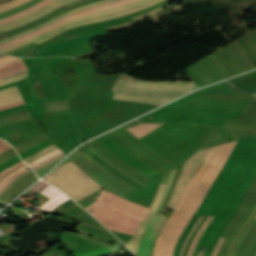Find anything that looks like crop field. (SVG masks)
Instances as JSON below:
<instances>
[{"mask_svg": "<svg viewBox=\"0 0 256 256\" xmlns=\"http://www.w3.org/2000/svg\"><path fill=\"white\" fill-rule=\"evenodd\" d=\"M39 1H41V0H31V1L21 5L19 7L10 9V10L5 11V12H2V13H0V18L9 16V15H13V14H15V13L21 11V10H24L26 8H29V7L33 6L34 4L38 3Z\"/></svg>", "mask_w": 256, "mask_h": 256, "instance_id": "crop-field-20", "label": "crop field"}, {"mask_svg": "<svg viewBox=\"0 0 256 256\" xmlns=\"http://www.w3.org/2000/svg\"><path fill=\"white\" fill-rule=\"evenodd\" d=\"M98 1H101V0H77V1H74L72 3H69L63 7H60L52 12H50L49 14L35 20V21H32L30 23H27L25 25H22L20 27H17L13 30H10L8 32H5L3 34L0 35V40L2 39H5V38H8V37H11L13 35H16V34H19V33H22V32H25L35 26H38L66 11H69V10H72V9H76V8H79V7H82V6H85V5H88V4H92V3H95V2H98Z\"/></svg>", "mask_w": 256, "mask_h": 256, "instance_id": "crop-field-9", "label": "crop field"}, {"mask_svg": "<svg viewBox=\"0 0 256 256\" xmlns=\"http://www.w3.org/2000/svg\"><path fill=\"white\" fill-rule=\"evenodd\" d=\"M63 156H65V155L62 153V154H60V155H58V156L54 157L53 159H51V160H49V161H47V162L43 163L42 165H40V166H38V167L34 168V171H36V170H39V169L43 168L45 165H47V164H49V163H51V162H53V161H55V160H57V159H59V158L63 157Z\"/></svg>", "mask_w": 256, "mask_h": 256, "instance_id": "crop-field-30", "label": "crop field"}, {"mask_svg": "<svg viewBox=\"0 0 256 256\" xmlns=\"http://www.w3.org/2000/svg\"><path fill=\"white\" fill-rule=\"evenodd\" d=\"M192 85L191 83L181 82H136L120 74L112 88L115 91L113 99L161 105L181 96L180 94L187 92Z\"/></svg>", "mask_w": 256, "mask_h": 256, "instance_id": "crop-field-3", "label": "crop field"}, {"mask_svg": "<svg viewBox=\"0 0 256 256\" xmlns=\"http://www.w3.org/2000/svg\"><path fill=\"white\" fill-rule=\"evenodd\" d=\"M31 173H33L32 170H30V171H28L27 173H25V174H23V175L17 177V178L14 179L11 183H9V184L7 185V187L3 190V192L1 191L2 193L0 194V199L2 198V196H3L18 180H20L21 178H23V177H25V176H27V175H29V174H31Z\"/></svg>", "mask_w": 256, "mask_h": 256, "instance_id": "crop-field-26", "label": "crop field"}, {"mask_svg": "<svg viewBox=\"0 0 256 256\" xmlns=\"http://www.w3.org/2000/svg\"><path fill=\"white\" fill-rule=\"evenodd\" d=\"M165 186L166 185H160L158 188V191L154 197V200L150 206L149 211L147 212L145 218L143 219V221L140 223V225L138 226V229L134 235V237L125 245L135 254L137 253V249H138V245L142 236V233L144 231V228L146 226L147 221L149 220V218L151 217V215L153 214V212L155 211L156 207L158 206L164 192H165Z\"/></svg>", "mask_w": 256, "mask_h": 256, "instance_id": "crop-field-10", "label": "crop field"}, {"mask_svg": "<svg viewBox=\"0 0 256 256\" xmlns=\"http://www.w3.org/2000/svg\"><path fill=\"white\" fill-rule=\"evenodd\" d=\"M48 183L45 182H41L39 181L38 183H36L32 188H30V190L32 191H40L41 189L45 188L46 186H48Z\"/></svg>", "mask_w": 256, "mask_h": 256, "instance_id": "crop-field-29", "label": "crop field"}, {"mask_svg": "<svg viewBox=\"0 0 256 256\" xmlns=\"http://www.w3.org/2000/svg\"><path fill=\"white\" fill-rule=\"evenodd\" d=\"M23 172H25V170L22 171V172H20V173H18V174L15 175L14 177L10 178L7 182H5V183L0 187V193H1V191L6 187V185H7L9 182H11L15 177H17L18 175L22 174Z\"/></svg>", "mask_w": 256, "mask_h": 256, "instance_id": "crop-field-35", "label": "crop field"}, {"mask_svg": "<svg viewBox=\"0 0 256 256\" xmlns=\"http://www.w3.org/2000/svg\"><path fill=\"white\" fill-rule=\"evenodd\" d=\"M58 151H60V150H59V149H57V150H55V151H53V152H51V153H48V154L44 155L43 157L39 158L38 160H36V161H34V162H32V163L28 164V165H30V166H31V165H33V164H35V163H37V162H39V161L43 160L44 158H46V157H48V156H50V155H52V154H54V153L58 152Z\"/></svg>", "mask_w": 256, "mask_h": 256, "instance_id": "crop-field-33", "label": "crop field"}, {"mask_svg": "<svg viewBox=\"0 0 256 256\" xmlns=\"http://www.w3.org/2000/svg\"><path fill=\"white\" fill-rule=\"evenodd\" d=\"M24 165H26V164L23 163L22 161H20V162H18L16 164L6 168L5 170L0 172V179L3 178L4 176H6L7 174L13 172L15 169H18V168H20V167H22Z\"/></svg>", "mask_w": 256, "mask_h": 256, "instance_id": "crop-field-24", "label": "crop field"}, {"mask_svg": "<svg viewBox=\"0 0 256 256\" xmlns=\"http://www.w3.org/2000/svg\"><path fill=\"white\" fill-rule=\"evenodd\" d=\"M11 0H0V4H3V3H6V2H9Z\"/></svg>", "mask_w": 256, "mask_h": 256, "instance_id": "crop-field-40", "label": "crop field"}, {"mask_svg": "<svg viewBox=\"0 0 256 256\" xmlns=\"http://www.w3.org/2000/svg\"><path fill=\"white\" fill-rule=\"evenodd\" d=\"M43 179L59 187L76 202L102 188L71 161L55 169Z\"/></svg>", "mask_w": 256, "mask_h": 256, "instance_id": "crop-field-5", "label": "crop field"}, {"mask_svg": "<svg viewBox=\"0 0 256 256\" xmlns=\"http://www.w3.org/2000/svg\"><path fill=\"white\" fill-rule=\"evenodd\" d=\"M150 1H152V0H138V1H135V2H132V3H129V4L121 5V6L111 8V9H108V10H105V11H101V12L86 15V16H83V17H80V18H77V19L66 21V22L58 25L57 27H55V28H53V29H51L47 32H44V33H42V34H40L36 37L30 38V39H28L24 42L19 43V44H16V45L10 46L8 48L2 49V50H0V53L8 52V51H11L15 48L27 45V44L33 42L34 40H38V39H40L44 36H47V35L55 32V31H57L58 29H60L64 26L70 25L72 23L81 22V21H85V20H88V19H92V18L104 16V15L114 14V13H117L119 11H123V10L129 9V8L140 6V5L145 4L147 2H150Z\"/></svg>", "mask_w": 256, "mask_h": 256, "instance_id": "crop-field-8", "label": "crop field"}, {"mask_svg": "<svg viewBox=\"0 0 256 256\" xmlns=\"http://www.w3.org/2000/svg\"><path fill=\"white\" fill-rule=\"evenodd\" d=\"M26 1H28V0H14L12 2L0 5V12L10 9V8H13V7H16V6H19L23 3H25Z\"/></svg>", "mask_w": 256, "mask_h": 256, "instance_id": "crop-field-25", "label": "crop field"}, {"mask_svg": "<svg viewBox=\"0 0 256 256\" xmlns=\"http://www.w3.org/2000/svg\"><path fill=\"white\" fill-rule=\"evenodd\" d=\"M155 107L157 106L126 101L78 125L85 140H88Z\"/></svg>", "mask_w": 256, "mask_h": 256, "instance_id": "crop-field-4", "label": "crop field"}, {"mask_svg": "<svg viewBox=\"0 0 256 256\" xmlns=\"http://www.w3.org/2000/svg\"><path fill=\"white\" fill-rule=\"evenodd\" d=\"M7 58H11V56L4 57V58L0 59V61L4 60V59H7Z\"/></svg>", "mask_w": 256, "mask_h": 256, "instance_id": "crop-field-41", "label": "crop field"}, {"mask_svg": "<svg viewBox=\"0 0 256 256\" xmlns=\"http://www.w3.org/2000/svg\"><path fill=\"white\" fill-rule=\"evenodd\" d=\"M161 124H139L135 127L127 128L131 133H133L138 138L144 136L145 134L155 130Z\"/></svg>", "mask_w": 256, "mask_h": 256, "instance_id": "crop-field-15", "label": "crop field"}, {"mask_svg": "<svg viewBox=\"0 0 256 256\" xmlns=\"http://www.w3.org/2000/svg\"><path fill=\"white\" fill-rule=\"evenodd\" d=\"M132 1H135V0H131V1H127V2H123V3H120V4H117V5H114V6H118V5H121V4H125V3H128V2H132ZM114 6H111V7H114ZM111 7H108V8H111ZM108 8H104V9H108ZM104 9H100V10H97V11H94V12H98V11H101V10H104ZM94 12H90V13H94ZM90 13H87V14H90ZM83 15H86V14H83ZM80 16H82V15H79V16H76V17H80ZM76 17H72V18H76ZM72 18H69V19H72ZM69 19H67V20H69ZM65 21V20H64ZM63 22V21H62ZM61 23V22H60ZM59 24V23H58ZM58 24H56V25H58ZM56 25H54V26H56ZM53 26V27H54ZM52 28V27H51ZM50 29V28H49ZM48 30V29H47ZM46 31V30H45ZM44 32V31H43ZM40 33H42V32H40ZM40 33H37V34H35V35H38V34H40ZM35 35H32V36H30V37H33V36H35ZM30 37H28V38H30ZM28 38H25V39H23V40H20V41H18V42H21V41H24V40H26V39H28ZM18 42H16V43H18ZM16 43H14V44H16ZM13 45V44H12ZM10 46V45H9ZM7 47V46H6ZM2 48H5V47H2ZM2 48H0V49H2Z\"/></svg>", "mask_w": 256, "mask_h": 256, "instance_id": "crop-field-27", "label": "crop field"}, {"mask_svg": "<svg viewBox=\"0 0 256 256\" xmlns=\"http://www.w3.org/2000/svg\"><path fill=\"white\" fill-rule=\"evenodd\" d=\"M123 1H126V0L114 1V2H111V3H107V4H104V5H101V6H97V7H94V8H90V9H87V10H84V11H81V12H78V13H76V14L68 15V16H66V17H64V18H62V19H60V20H58V21H56V22H54V23H52V24L46 26V27H43V28H41V29H39V30L33 32V33L27 34V35H25V36H23V37L16 38V39L11 40V41H9V42L3 44V45H0V47L6 46V45H8V44H10V43H12V42H15V41H17V40L23 39V38L28 37V36H30V35H32V34H35V33L39 32V31H41V30H43V29H45V28H47V27H49V26H51V25H53V24L59 22V21H62V20H64V19H67V18H69V17L76 16V15L83 14V13H87V12H90V11H93V10H97V9H100V8H104V7H107V6H109V5H112V4H115V3H119V2H123Z\"/></svg>", "mask_w": 256, "mask_h": 256, "instance_id": "crop-field-13", "label": "crop field"}, {"mask_svg": "<svg viewBox=\"0 0 256 256\" xmlns=\"http://www.w3.org/2000/svg\"><path fill=\"white\" fill-rule=\"evenodd\" d=\"M224 239L225 238L219 237V239H218V241H217V243H216V245H215V247H214L210 256H217V254H218V252H219V250L222 246V243H223Z\"/></svg>", "mask_w": 256, "mask_h": 256, "instance_id": "crop-field-28", "label": "crop field"}, {"mask_svg": "<svg viewBox=\"0 0 256 256\" xmlns=\"http://www.w3.org/2000/svg\"><path fill=\"white\" fill-rule=\"evenodd\" d=\"M52 1L53 0H43V1L39 2L38 4H36L35 6L29 8L27 10H24V11H22V12L16 14V15L3 18V19L0 20V25L8 23V22L16 20V19H19V18H22V17L30 14L31 12L36 11V10L42 8L43 6L47 5L48 3L52 2Z\"/></svg>", "mask_w": 256, "mask_h": 256, "instance_id": "crop-field-14", "label": "crop field"}, {"mask_svg": "<svg viewBox=\"0 0 256 256\" xmlns=\"http://www.w3.org/2000/svg\"><path fill=\"white\" fill-rule=\"evenodd\" d=\"M27 75V70L24 72H21L19 74L16 75H12V76H8L6 78H3L0 80V85H4L13 81H17V80H21V79H25Z\"/></svg>", "mask_w": 256, "mask_h": 256, "instance_id": "crop-field-22", "label": "crop field"}, {"mask_svg": "<svg viewBox=\"0 0 256 256\" xmlns=\"http://www.w3.org/2000/svg\"><path fill=\"white\" fill-rule=\"evenodd\" d=\"M211 148L197 151L193 156H191L187 160L186 164L183 167L181 175L177 181V184L172 193V196L167 204V207L165 209H163L161 215H163V213L166 211L167 208L175 209L188 182L193 177V175L199 170L201 165L204 163Z\"/></svg>", "mask_w": 256, "mask_h": 256, "instance_id": "crop-field-6", "label": "crop field"}, {"mask_svg": "<svg viewBox=\"0 0 256 256\" xmlns=\"http://www.w3.org/2000/svg\"><path fill=\"white\" fill-rule=\"evenodd\" d=\"M202 254H203V252H202V251H200L198 256H202Z\"/></svg>", "mask_w": 256, "mask_h": 256, "instance_id": "crop-field-42", "label": "crop field"}, {"mask_svg": "<svg viewBox=\"0 0 256 256\" xmlns=\"http://www.w3.org/2000/svg\"><path fill=\"white\" fill-rule=\"evenodd\" d=\"M9 148H11V146L8 143H6L5 141L0 143V153Z\"/></svg>", "mask_w": 256, "mask_h": 256, "instance_id": "crop-field-34", "label": "crop field"}, {"mask_svg": "<svg viewBox=\"0 0 256 256\" xmlns=\"http://www.w3.org/2000/svg\"><path fill=\"white\" fill-rule=\"evenodd\" d=\"M20 104H24V101L18 102V103H15V104H11V105H7L5 107H0V110L7 109V108H10V107H14V106H17V105H20Z\"/></svg>", "mask_w": 256, "mask_h": 256, "instance_id": "crop-field-36", "label": "crop field"}, {"mask_svg": "<svg viewBox=\"0 0 256 256\" xmlns=\"http://www.w3.org/2000/svg\"><path fill=\"white\" fill-rule=\"evenodd\" d=\"M110 1H114V0H104V1H101V2H98V3H95V4H92V5H89V6H85V7H82V8L76 9V10H73V11H69V12H67V13H65V14H63V15H61V16H59V17H57V18H55V19H53V20H51V21H49V22H47V23H45V24H43V25H41V26H38V27H36V28H34V29L28 31V32H25V33L16 35V36H14V37H11V38L2 40V41H0V44H1V43H4V42H6V41H9V40H11V39H13V38H16V37L22 36V35H24V34H27V33L31 32V31L35 30V29L41 28V27H43V26H45V25H47V24H49V23H51V22H53V21H55V20H57V19H59V18H61V17H63V16H65V15H68V14H71V13H73V12H76V11H79V10H82V9H85V8H87V7H90V6H94V5H97V4H101V3H105V2H110Z\"/></svg>", "mask_w": 256, "mask_h": 256, "instance_id": "crop-field-19", "label": "crop field"}, {"mask_svg": "<svg viewBox=\"0 0 256 256\" xmlns=\"http://www.w3.org/2000/svg\"><path fill=\"white\" fill-rule=\"evenodd\" d=\"M22 100L23 99L16 86L0 91V106H5Z\"/></svg>", "mask_w": 256, "mask_h": 256, "instance_id": "crop-field-11", "label": "crop field"}, {"mask_svg": "<svg viewBox=\"0 0 256 256\" xmlns=\"http://www.w3.org/2000/svg\"><path fill=\"white\" fill-rule=\"evenodd\" d=\"M85 209L109 229L133 235L148 207L103 189L96 202Z\"/></svg>", "mask_w": 256, "mask_h": 256, "instance_id": "crop-field-2", "label": "crop field"}, {"mask_svg": "<svg viewBox=\"0 0 256 256\" xmlns=\"http://www.w3.org/2000/svg\"><path fill=\"white\" fill-rule=\"evenodd\" d=\"M59 153H61V151H60V152H58V153H56V154H54L53 156H51V157H49V158H47V159L43 160V161H41V162H39V163H37V164H35V165L31 166V167H32V168H34V167H36V166H38V165L42 164V163H43V162H45L46 160H48V159H50V158H52V157L56 156V155H57V154H59Z\"/></svg>", "mask_w": 256, "mask_h": 256, "instance_id": "crop-field-37", "label": "crop field"}, {"mask_svg": "<svg viewBox=\"0 0 256 256\" xmlns=\"http://www.w3.org/2000/svg\"><path fill=\"white\" fill-rule=\"evenodd\" d=\"M5 55H0V58L4 57Z\"/></svg>", "mask_w": 256, "mask_h": 256, "instance_id": "crop-field-43", "label": "crop field"}, {"mask_svg": "<svg viewBox=\"0 0 256 256\" xmlns=\"http://www.w3.org/2000/svg\"><path fill=\"white\" fill-rule=\"evenodd\" d=\"M3 141V140H0V142Z\"/></svg>", "mask_w": 256, "mask_h": 256, "instance_id": "crop-field-44", "label": "crop field"}, {"mask_svg": "<svg viewBox=\"0 0 256 256\" xmlns=\"http://www.w3.org/2000/svg\"><path fill=\"white\" fill-rule=\"evenodd\" d=\"M202 218H203V215H201V217L199 218V220L196 222V224H195L194 227L192 228V230H191V232H190V234H189V236H188V238H187V240H186V242H185V244H184V246H183V248H182V251H181L180 256H182V254H183V252H184V249H185V246H186V244H187V241H188L189 237L191 236L192 232L194 231V229L196 228V226L198 225V223L201 221Z\"/></svg>", "mask_w": 256, "mask_h": 256, "instance_id": "crop-field-32", "label": "crop field"}, {"mask_svg": "<svg viewBox=\"0 0 256 256\" xmlns=\"http://www.w3.org/2000/svg\"><path fill=\"white\" fill-rule=\"evenodd\" d=\"M26 69H27V67L25 66L23 61L6 66V67L0 69V79L3 77H6L8 75H11V74L19 73Z\"/></svg>", "mask_w": 256, "mask_h": 256, "instance_id": "crop-field-16", "label": "crop field"}, {"mask_svg": "<svg viewBox=\"0 0 256 256\" xmlns=\"http://www.w3.org/2000/svg\"><path fill=\"white\" fill-rule=\"evenodd\" d=\"M18 61H21V59L19 58V59H17V60H14V61L8 62V63H6V64H3V65H1V66H0V68L4 67V66H6V65H9V64H12V63L18 62Z\"/></svg>", "mask_w": 256, "mask_h": 256, "instance_id": "crop-field-38", "label": "crop field"}, {"mask_svg": "<svg viewBox=\"0 0 256 256\" xmlns=\"http://www.w3.org/2000/svg\"><path fill=\"white\" fill-rule=\"evenodd\" d=\"M71 1H74V0H67V1H65V2L59 3V4H57V5H55V6L51 7V8H49V9L43 11V12H41V13H39L38 15H36V16H34V17H32V18H29V19H27V20H25V21H22V22H20V23H17V24H15V25H12V26H10V27H7V28H4V29L0 30V33L5 32V31H8V30H10V29H13V28H15V27H17V26H20V25H22V24H25V23H27V22H30V21H32V20H34V19H36V18H38V17H40V16H42V15H44V14H46V13L52 11V10H54V9H56V8H58V7H60V6L64 5V4H66V3H68V2H71Z\"/></svg>", "mask_w": 256, "mask_h": 256, "instance_id": "crop-field-18", "label": "crop field"}, {"mask_svg": "<svg viewBox=\"0 0 256 256\" xmlns=\"http://www.w3.org/2000/svg\"><path fill=\"white\" fill-rule=\"evenodd\" d=\"M13 59H16V57H13V58H11V59H7V60H4V61H1V62H0V65L3 64V63H5V62L11 61V60H13Z\"/></svg>", "mask_w": 256, "mask_h": 256, "instance_id": "crop-field-39", "label": "crop field"}, {"mask_svg": "<svg viewBox=\"0 0 256 256\" xmlns=\"http://www.w3.org/2000/svg\"><path fill=\"white\" fill-rule=\"evenodd\" d=\"M55 148H57V147L52 144V145H50V146L44 148L43 150H41V151H39V152H37V153H35V154H33V155H31V156H29V157L23 159V161L28 164V163H30L31 161L35 160L36 158H38V157H40V156H42V155L48 153L49 151H51V150H53V149H55Z\"/></svg>", "mask_w": 256, "mask_h": 256, "instance_id": "crop-field-21", "label": "crop field"}, {"mask_svg": "<svg viewBox=\"0 0 256 256\" xmlns=\"http://www.w3.org/2000/svg\"><path fill=\"white\" fill-rule=\"evenodd\" d=\"M213 219V217L208 216V218L205 220V222L202 224V226L199 228V230L197 231L191 246L188 250L187 256H192L194 248L197 244V242L199 241L200 237L202 236V234L204 233L205 229L207 228V226L209 225L210 221Z\"/></svg>", "mask_w": 256, "mask_h": 256, "instance_id": "crop-field-17", "label": "crop field"}, {"mask_svg": "<svg viewBox=\"0 0 256 256\" xmlns=\"http://www.w3.org/2000/svg\"><path fill=\"white\" fill-rule=\"evenodd\" d=\"M235 143L236 141L212 148L207 160L190 181L177 208L158 236L154 256H172L173 248L184 226L215 181Z\"/></svg>", "mask_w": 256, "mask_h": 256, "instance_id": "crop-field-1", "label": "crop field"}, {"mask_svg": "<svg viewBox=\"0 0 256 256\" xmlns=\"http://www.w3.org/2000/svg\"><path fill=\"white\" fill-rule=\"evenodd\" d=\"M62 1H65V0H56V1H54V2H52V3H50V4H48L47 6L43 7L42 9H40V10H38V11H36V12H34V13H32V14H30V15H28V16L22 18V19H19V20L10 22V23H8V24H6V25L0 27V29H2V28H4V27H7V26H9V25L15 24V23H17V22H20V21H22V20H24V19H27V18H29V17H31V16H33V15H35V14H37V13L43 11V10L49 8L50 6H52V5L56 4V3L62 2Z\"/></svg>", "mask_w": 256, "mask_h": 256, "instance_id": "crop-field-23", "label": "crop field"}, {"mask_svg": "<svg viewBox=\"0 0 256 256\" xmlns=\"http://www.w3.org/2000/svg\"><path fill=\"white\" fill-rule=\"evenodd\" d=\"M26 168H28L27 165L24 166V167H22V168H20V169H18V170L15 171V172L11 173L10 175L6 176L5 178H3V179L0 181V186H1L5 181H7L10 177L14 176L16 173H18L19 171H21V170H23V169H26Z\"/></svg>", "mask_w": 256, "mask_h": 256, "instance_id": "crop-field-31", "label": "crop field"}, {"mask_svg": "<svg viewBox=\"0 0 256 256\" xmlns=\"http://www.w3.org/2000/svg\"><path fill=\"white\" fill-rule=\"evenodd\" d=\"M175 170H173L169 176L167 187H166V192L161 200V203L157 207L156 211L150 218V220L145 228L144 235L140 242L137 256H152L153 245L156 240V237H157L160 229L162 228L163 224L165 223V221L168 218L166 216H159V215H155V214L158 211V209L160 208V206L162 205V203L167 195L168 189L172 183V179H173Z\"/></svg>", "mask_w": 256, "mask_h": 256, "instance_id": "crop-field-7", "label": "crop field"}, {"mask_svg": "<svg viewBox=\"0 0 256 256\" xmlns=\"http://www.w3.org/2000/svg\"><path fill=\"white\" fill-rule=\"evenodd\" d=\"M158 1H160V0L153 1V2H151V3H149V4H147V5L140 6V7L135 8V9L127 10V11H124V12H122V13H118V14H114V15H110V16H105V17H100V18L88 20V21H85V22H82V23H79V24H75V25H70V26L65 27V28H63V29H60L59 31L55 32V33L52 34V35H49V36H47V37H45V38H42V39L38 40L37 43H39V42H41V41H43V40H45V39H47V38H49V37H51V36L57 34V33H59V32H61V31L65 30V29H67V28H70V27H73V26H77V25L86 24V23H91V22H96V21H101V20L113 18V17L119 16V15H122V14H125V13H128V12H132V11H135V10H138V9H141V8H144V7H147V6H149V5L153 4V3H156V2H158ZM153 5H154V4H153ZM151 6H152V5H151ZM149 7H150V6H149ZM147 8H148V7H147ZM70 29H71V28H70ZM35 43H36V42H35ZM37 43H36V44H37Z\"/></svg>", "mask_w": 256, "mask_h": 256, "instance_id": "crop-field-12", "label": "crop field"}]
</instances>
